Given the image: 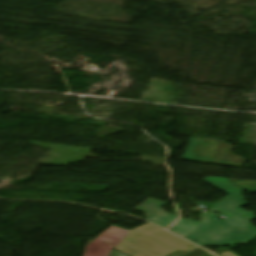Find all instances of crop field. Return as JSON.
<instances>
[{"label":"crop field","instance_id":"1","mask_svg":"<svg viewBox=\"0 0 256 256\" xmlns=\"http://www.w3.org/2000/svg\"><path fill=\"white\" fill-rule=\"evenodd\" d=\"M204 181L229 194L212 208V211L228 218L216 222L214 220L216 214L211 212L201 214V225L186 238L203 246L244 244L255 238L256 228L250 223L255 216L240 208L246 205L245 198L241 195L242 189L223 178H207Z\"/></svg>","mask_w":256,"mask_h":256},{"label":"crop field","instance_id":"10","mask_svg":"<svg viewBox=\"0 0 256 256\" xmlns=\"http://www.w3.org/2000/svg\"><path fill=\"white\" fill-rule=\"evenodd\" d=\"M110 256H125V255H123V254H121V253H119L117 251L112 250Z\"/></svg>","mask_w":256,"mask_h":256},{"label":"crop field","instance_id":"11","mask_svg":"<svg viewBox=\"0 0 256 256\" xmlns=\"http://www.w3.org/2000/svg\"><path fill=\"white\" fill-rule=\"evenodd\" d=\"M182 254H184L183 252H175L173 255H171V256H180V255H182Z\"/></svg>","mask_w":256,"mask_h":256},{"label":"crop field","instance_id":"9","mask_svg":"<svg viewBox=\"0 0 256 256\" xmlns=\"http://www.w3.org/2000/svg\"><path fill=\"white\" fill-rule=\"evenodd\" d=\"M218 256H236L235 254H233L232 252H230L229 250H227L226 248L225 249H222L221 251H219L217 253Z\"/></svg>","mask_w":256,"mask_h":256},{"label":"crop field","instance_id":"4","mask_svg":"<svg viewBox=\"0 0 256 256\" xmlns=\"http://www.w3.org/2000/svg\"><path fill=\"white\" fill-rule=\"evenodd\" d=\"M166 203L149 199L135 210L142 211L146 214L149 220L166 228L173 223L178 217L171 215L161 210Z\"/></svg>","mask_w":256,"mask_h":256},{"label":"crop field","instance_id":"8","mask_svg":"<svg viewBox=\"0 0 256 256\" xmlns=\"http://www.w3.org/2000/svg\"><path fill=\"white\" fill-rule=\"evenodd\" d=\"M187 256H213V255L203 251L202 249H198Z\"/></svg>","mask_w":256,"mask_h":256},{"label":"crop field","instance_id":"2","mask_svg":"<svg viewBox=\"0 0 256 256\" xmlns=\"http://www.w3.org/2000/svg\"><path fill=\"white\" fill-rule=\"evenodd\" d=\"M219 142L192 138L181 160L210 163Z\"/></svg>","mask_w":256,"mask_h":256},{"label":"crop field","instance_id":"7","mask_svg":"<svg viewBox=\"0 0 256 256\" xmlns=\"http://www.w3.org/2000/svg\"><path fill=\"white\" fill-rule=\"evenodd\" d=\"M244 189H256V182L232 180Z\"/></svg>","mask_w":256,"mask_h":256},{"label":"crop field","instance_id":"3","mask_svg":"<svg viewBox=\"0 0 256 256\" xmlns=\"http://www.w3.org/2000/svg\"><path fill=\"white\" fill-rule=\"evenodd\" d=\"M125 232L127 231L111 226L95 241L86 246L83 256H108L112 248L116 247L110 244Z\"/></svg>","mask_w":256,"mask_h":256},{"label":"crop field","instance_id":"5","mask_svg":"<svg viewBox=\"0 0 256 256\" xmlns=\"http://www.w3.org/2000/svg\"><path fill=\"white\" fill-rule=\"evenodd\" d=\"M234 148L227 142H222L212 163L243 168L246 159L232 153Z\"/></svg>","mask_w":256,"mask_h":256},{"label":"crop field","instance_id":"6","mask_svg":"<svg viewBox=\"0 0 256 256\" xmlns=\"http://www.w3.org/2000/svg\"><path fill=\"white\" fill-rule=\"evenodd\" d=\"M199 225L200 223L197 222H192L186 219H180L179 222H177L169 229L183 237H186Z\"/></svg>","mask_w":256,"mask_h":256}]
</instances>
